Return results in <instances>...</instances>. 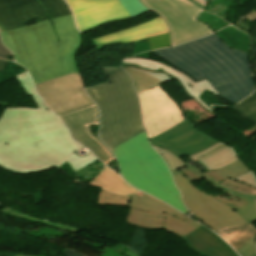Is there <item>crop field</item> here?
Returning <instances> with one entry per match:
<instances>
[{
    "mask_svg": "<svg viewBox=\"0 0 256 256\" xmlns=\"http://www.w3.org/2000/svg\"><path fill=\"white\" fill-rule=\"evenodd\" d=\"M38 1L47 13L0 26L4 45L35 84L78 71L75 52L82 43L64 0Z\"/></svg>",
    "mask_w": 256,
    "mask_h": 256,
    "instance_id": "1",
    "label": "crop field"
},
{
    "mask_svg": "<svg viewBox=\"0 0 256 256\" xmlns=\"http://www.w3.org/2000/svg\"><path fill=\"white\" fill-rule=\"evenodd\" d=\"M83 146L49 109L9 108L0 118V166L30 174L56 166Z\"/></svg>",
    "mask_w": 256,
    "mask_h": 256,
    "instance_id": "2",
    "label": "crop field"
},
{
    "mask_svg": "<svg viewBox=\"0 0 256 256\" xmlns=\"http://www.w3.org/2000/svg\"><path fill=\"white\" fill-rule=\"evenodd\" d=\"M153 53L196 82L207 78L222 98L234 105L255 88L248 54L231 49L216 33Z\"/></svg>",
    "mask_w": 256,
    "mask_h": 256,
    "instance_id": "3",
    "label": "crop field"
},
{
    "mask_svg": "<svg viewBox=\"0 0 256 256\" xmlns=\"http://www.w3.org/2000/svg\"><path fill=\"white\" fill-rule=\"evenodd\" d=\"M102 69L109 82L85 89L101 110L99 137L111 150L145 129L139 101L128 74L121 67Z\"/></svg>",
    "mask_w": 256,
    "mask_h": 256,
    "instance_id": "4",
    "label": "crop field"
},
{
    "mask_svg": "<svg viewBox=\"0 0 256 256\" xmlns=\"http://www.w3.org/2000/svg\"><path fill=\"white\" fill-rule=\"evenodd\" d=\"M111 151L129 184L184 213L189 212L181 201L165 162L152 149L145 131Z\"/></svg>",
    "mask_w": 256,
    "mask_h": 256,
    "instance_id": "5",
    "label": "crop field"
},
{
    "mask_svg": "<svg viewBox=\"0 0 256 256\" xmlns=\"http://www.w3.org/2000/svg\"><path fill=\"white\" fill-rule=\"evenodd\" d=\"M187 165L179 170L190 181L200 182L201 178H205L208 185L223 190L222 194L216 196L212 194V196L234 209L247 223L256 221V189L232 180L249 172L240 160L221 169L204 173L189 163Z\"/></svg>",
    "mask_w": 256,
    "mask_h": 256,
    "instance_id": "6",
    "label": "crop field"
},
{
    "mask_svg": "<svg viewBox=\"0 0 256 256\" xmlns=\"http://www.w3.org/2000/svg\"><path fill=\"white\" fill-rule=\"evenodd\" d=\"M128 205L125 222L140 228L165 229L183 237L202 226L143 192L132 195Z\"/></svg>",
    "mask_w": 256,
    "mask_h": 256,
    "instance_id": "7",
    "label": "crop field"
},
{
    "mask_svg": "<svg viewBox=\"0 0 256 256\" xmlns=\"http://www.w3.org/2000/svg\"><path fill=\"white\" fill-rule=\"evenodd\" d=\"M121 66L132 77L134 88L136 92L146 90L148 88L160 85L168 80H178L183 86L184 90L199 103L206 110H212L208 108L203 102L200 101L201 93L204 90L209 89L216 95H219L217 91L212 87L207 79L198 83L194 82L184 73L172 68L161 62L144 59V58H126L121 60Z\"/></svg>",
    "mask_w": 256,
    "mask_h": 256,
    "instance_id": "8",
    "label": "crop field"
},
{
    "mask_svg": "<svg viewBox=\"0 0 256 256\" xmlns=\"http://www.w3.org/2000/svg\"><path fill=\"white\" fill-rule=\"evenodd\" d=\"M141 1L168 26L171 46L213 33L209 26L197 20L203 10L187 0Z\"/></svg>",
    "mask_w": 256,
    "mask_h": 256,
    "instance_id": "9",
    "label": "crop field"
},
{
    "mask_svg": "<svg viewBox=\"0 0 256 256\" xmlns=\"http://www.w3.org/2000/svg\"><path fill=\"white\" fill-rule=\"evenodd\" d=\"M186 207L214 231L246 224L232 209L197 189L178 169L171 172Z\"/></svg>",
    "mask_w": 256,
    "mask_h": 256,
    "instance_id": "10",
    "label": "crop field"
},
{
    "mask_svg": "<svg viewBox=\"0 0 256 256\" xmlns=\"http://www.w3.org/2000/svg\"><path fill=\"white\" fill-rule=\"evenodd\" d=\"M80 33L114 20L136 17L147 11L139 0H66Z\"/></svg>",
    "mask_w": 256,
    "mask_h": 256,
    "instance_id": "11",
    "label": "crop field"
},
{
    "mask_svg": "<svg viewBox=\"0 0 256 256\" xmlns=\"http://www.w3.org/2000/svg\"><path fill=\"white\" fill-rule=\"evenodd\" d=\"M149 139L176 126L186 117L160 86L137 94Z\"/></svg>",
    "mask_w": 256,
    "mask_h": 256,
    "instance_id": "12",
    "label": "crop field"
},
{
    "mask_svg": "<svg viewBox=\"0 0 256 256\" xmlns=\"http://www.w3.org/2000/svg\"><path fill=\"white\" fill-rule=\"evenodd\" d=\"M35 86L41 98L57 115L93 103L83 89L79 71Z\"/></svg>",
    "mask_w": 256,
    "mask_h": 256,
    "instance_id": "13",
    "label": "crop field"
},
{
    "mask_svg": "<svg viewBox=\"0 0 256 256\" xmlns=\"http://www.w3.org/2000/svg\"><path fill=\"white\" fill-rule=\"evenodd\" d=\"M78 143L91 150L107 166L115 160L113 154L95 137L88 126L99 124V112L95 103L59 115Z\"/></svg>",
    "mask_w": 256,
    "mask_h": 256,
    "instance_id": "14",
    "label": "crop field"
},
{
    "mask_svg": "<svg viewBox=\"0 0 256 256\" xmlns=\"http://www.w3.org/2000/svg\"><path fill=\"white\" fill-rule=\"evenodd\" d=\"M189 119H185L176 127L150 139L154 146L160 144L162 148L168 149L177 156L199 153L218 141L194 128Z\"/></svg>",
    "mask_w": 256,
    "mask_h": 256,
    "instance_id": "15",
    "label": "crop field"
},
{
    "mask_svg": "<svg viewBox=\"0 0 256 256\" xmlns=\"http://www.w3.org/2000/svg\"><path fill=\"white\" fill-rule=\"evenodd\" d=\"M145 39H148L151 50L170 47L168 28L159 16L132 28L91 39V41L97 50L100 51L103 47L112 44L129 43Z\"/></svg>",
    "mask_w": 256,
    "mask_h": 256,
    "instance_id": "16",
    "label": "crop field"
},
{
    "mask_svg": "<svg viewBox=\"0 0 256 256\" xmlns=\"http://www.w3.org/2000/svg\"><path fill=\"white\" fill-rule=\"evenodd\" d=\"M44 12V7L37 0H0V25Z\"/></svg>",
    "mask_w": 256,
    "mask_h": 256,
    "instance_id": "17",
    "label": "crop field"
},
{
    "mask_svg": "<svg viewBox=\"0 0 256 256\" xmlns=\"http://www.w3.org/2000/svg\"><path fill=\"white\" fill-rule=\"evenodd\" d=\"M88 185L101 187L121 195H128L137 191L130 187L121 179V177L107 167L95 178H93Z\"/></svg>",
    "mask_w": 256,
    "mask_h": 256,
    "instance_id": "18",
    "label": "crop field"
},
{
    "mask_svg": "<svg viewBox=\"0 0 256 256\" xmlns=\"http://www.w3.org/2000/svg\"><path fill=\"white\" fill-rule=\"evenodd\" d=\"M224 238L236 251L240 249L254 234L256 228L252 224L221 229L216 232Z\"/></svg>",
    "mask_w": 256,
    "mask_h": 256,
    "instance_id": "19",
    "label": "crop field"
},
{
    "mask_svg": "<svg viewBox=\"0 0 256 256\" xmlns=\"http://www.w3.org/2000/svg\"><path fill=\"white\" fill-rule=\"evenodd\" d=\"M197 237L210 244L216 251H218L222 256H237L234 251L220 238H218L213 232L205 227H200L199 229L192 232Z\"/></svg>",
    "mask_w": 256,
    "mask_h": 256,
    "instance_id": "20",
    "label": "crop field"
},
{
    "mask_svg": "<svg viewBox=\"0 0 256 256\" xmlns=\"http://www.w3.org/2000/svg\"><path fill=\"white\" fill-rule=\"evenodd\" d=\"M237 160L239 159L232 153L231 147H227L221 150L220 152L200 162H202L207 169L215 170L223 166H226L228 164H231Z\"/></svg>",
    "mask_w": 256,
    "mask_h": 256,
    "instance_id": "21",
    "label": "crop field"
},
{
    "mask_svg": "<svg viewBox=\"0 0 256 256\" xmlns=\"http://www.w3.org/2000/svg\"><path fill=\"white\" fill-rule=\"evenodd\" d=\"M182 240L185 242L186 246L195 253L203 256H221L210 245L206 244L192 233L183 237Z\"/></svg>",
    "mask_w": 256,
    "mask_h": 256,
    "instance_id": "22",
    "label": "crop field"
},
{
    "mask_svg": "<svg viewBox=\"0 0 256 256\" xmlns=\"http://www.w3.org/2000/svg\"><path fill=\"white\" fill-rule=\"evenodd\" d=\"M241 116L256 123V91L244 101L232 108Z\"/></svg>",
    "mask_w": 256,
    "mask_h": 256,
    "instance_id": "23",
    "label": "crop field"
},
{
    "mask_svg": "<svg viewBox=\"0 0 256 256\" xmlns=\"http://www.w3.org/2000/svg\"><path fill=\"white\" fill-rule=\"evenodd\" d=\"M20 82L23 89L28 95H31L33 101L38 106V108H47L46 104L41 100V98L36 94L34 86L32 84L31 78L27 72L16 76Z\"/></svg>",
    "mask_w": 256,
    "mask_h": 256,
    "instance_id": "24",
    "label": "crop field"
},
{
    "mask_svg": "<svg viewBox=\"0 0 256 256\" xmlns=\"http://www.w3.org/2000/svg\"><path fill=\"white\" fill-rule=\"evenodd\" d=\"M130 196H119L104 190H100L97 204H106V205H119L125 206L128 204Z\"/></svg>",
    "mask_w": 256,
    "mask_h": 256,
    "instance_id": "25",
    "label": "crop field"
},
{
    "mask_svg": "<svg viewBox=\"0 0 256 256\" xmlns=\"http://www.w3.org/2000/svg\"><path fill=\"white\" fill-rule=\"evenodd\" d=\"M154 148L156 151H158L162 155L164 161L168 164L171 171L176 168H182V167L186 166L185 163H187V162H185L183 159L175 156L171 152L161 149L156 145L154 146Z\"/></svg>",
    "mask_w": 256,
    "mask_h": 256,
    "instance_id": "26",
    "label": "crop field"
},
{
    "mask_svg": "<svg viewBox=\"0 0 256 256\" xmlns=\"http://www.w3.org/2000/svg\"><path fill=\"white\" fill-rule=\"evenodd\" d=\"M89 152V151H88ZM98 160L94 155H92L90 152L88 156L85 157H78L75 153L69 157V159L66 161L69 163V165L74 169L76 172L77 170L89 165L90 163Z\"/></svg>",
    "mask_w": 256,
    "mask_h": 256,
    "instance_id": "27",
    "label": "crop field"
},
{
    "mask_svg": "<svg viewBox=\"0 0 256 256\" xmlns=\"http://www.w3.org/2000/svg\"><path fill=\"white\" fill-rule=\"evenodd\" d=\"M4 212L11 213V214H13V215H15V216H18V217H21V218H23V219L35 220V221L41 222V223H43V224L49 225V226H51V227H55V228H59V229H63V230L71 231V232H75V231L78 230V229H75V228L64 227L65 225H64V226H59L60 224H59V225H55V224L48 223V222H46V221L34 219V218L29 217V216L23 215V214H21V213L15 212V211H13V210H11V209L4 210Z\"/></svg>",
    "mask_w": 256,
    "mask_h": 256,
    "instance_id": "28",
    "label": "crop field"
},
{
    "mask_svg": "<svg viewBox=\"0 0 256 256\" xmlns=\"http://www.w3.org/2000/svg\"><path fill=\"white\" fill-rule=\"evenodd\" d=\"M234 180H238V181H241V182H244L246 184H249L253 187H256V182L251 174V172L245 174V175H242L240 177H237L235 178Z\"/></svg>",
    "mask_w": 256,
    "mask_h": 256,
    "instance_id": "29",
    "label": "crop field"
},
{
    "mask_svg": "<svg viewBox=\"0 0 256 256\" xmlns=\"http://www.w3.org/2000/svg\"><path fill=\"white\" fill-rule=\"evenodd\" d=\"M225 147H227V146H226V145H222V146H220V147L214 149L213 151H211V152H209V153H207V154H205V155H203V156H201V157H199V158H195V159H191V160H192V161L203 160V159H205V158L211 156L212 154H214V153L220 151L221 149H223V148H225Z\"/></svg>",
    "mask_w": 256,
    "mask_h": 256,
    "instance_id": "30",
    "label": "crop field"
},
{
    "mask_svg": "<svg viewBox=\"0 0 256 256\" xmlns=\"http://www.w3.org/2000/svg\"><path fill=\"white\" fill-rule=\"evenodd\" d=\"M192 3H194L195 5H197L198 7L202 8L204 10L208 0H189Z\"/></svg>",
    "mask_w": 256,
    "mask_h": 256,
    "instance_id": "31",
    "label": "crop field"
},
{
    "mask_svg": "<svg viewBox=\"0 0 256 256\" xmlns=\"http://www.w3.org/2000/svg\"><path fill=\"white\" fill-rule=\"evenodd\" d=\"M11 55V53L0 42V57L5 58Z\"/></svg>",
    "mask_w": 256,
    "mask_h": 256,
    "instance_id": "32",
    "label": "crop field"
},
{
    "mask_svg": "<svg viewBox=\"0 0 256 256\" xmlns=\"http://www.w3.org/2000/svg\"><path fill=\"white\" fill-rule=\"evenodd\" d=\"M220 145H222V143L219 142V143H217L216 145L210 147L209 149H207V150H205V151H203V152H201V153H199V154H197V155H190L189 157H190V158L199 157V156H201V155H203V154H205V153H207V152L213 150L214 148H216V147H218V146H220Z\"/></svg>",
    "mask_w": 256,
    "mask_h": 256,
    "instance_id": "33",
    "label": "crop field"
},
{
    "mask_svg": "<svg viewBox=\"0 0 256 256\" xmlns=\"http://www.w3.org/2000/svg\"><path fill=\"white\" fill-rule=\"evenodd\" d=\"M62 254H63L64 256H83V255H81V254H78V253L69 251V250H67V249H64V251L62 252Z\"/></svg>",
    "mask_w": 256,
    "mask_h": 256,
    "instance_id": "34",
    "label": "crop field"
},
{
    "mask_svg": "<svg viewBox=\"0 0 256 256\" xmlns=\"http://www.w3.org/2000/svg\"><path fill=\"white\" fill-rule=\"evenodd\" d=\"M122 256H139V255H137V254H135V253H133V252H131V251L129 250V251H127L126 253H124Z\"/></svg>",
    "mask_w": 256,
    "mask_h": 256,
    "instance_id": "35",
    "label": "crop field"
},
{
    "mask_svg": "<svg viewBox=\"0 0 256 256\" xmlns=\"http://www.w3.org/2000/svg\"><path fill=\"white\" fill-rule=\"evenodd\" d=\"M6 62H7L6 60L0 59V71L3 70V68H4L5 64H6Z\"/></svg>",
    "mask_w": 256,
    "mask_h": 256,
    "instance_id": "36",
    "label": "crop field"
},
{
    "mask_svg": "<svg viewBox=\"0 0 256 256\" xmlns=\"http://www.w3.org/2000/svg\"><path fill=\"white\" fill-rule=\"evenodd\" d=\"M16 256H22V255H16ZM43 256V255H42Z\"/></svg>",
    "mask_w": 256,
    "mask_h": 256,
    "instance_id": "37",
    "label": "crop field"
},
{
    "mask_svg": "<svg viewBox=\"0 0 256 256\" xmlns=\"http://www.w3.org/2000/svg\"><path fill=\"white\" fill-rule=\"evenodd\" d=\"M205 171H208L207 169H204Z\"/></svg>",
    "mask_w": 256,
    "mask_h": 256,
    "instance_id": "38",
    "label": "crop field"
}]
</instances>
